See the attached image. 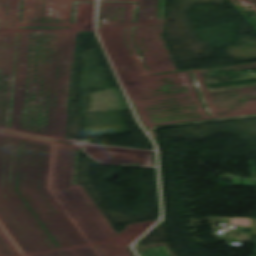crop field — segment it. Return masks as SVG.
Listing matches in <instances>:
<instances>
[{
    "mask_svg": "<svg viewBox=\"0 0 256 256\" xmlns=\"http://www.w3.org/2000/svg\"><path fill=\"white\" fill-rule=\"evenodd\" d=\"M242 183L243 187H256V180L253 179H242V182H232V187H240Z\"/></svg>",
    "mask_w": 256,
    "mask_h": 256,
    "instance_id": "8a807250",
    "label": "crop field"
},
{
    "mask_svg": "<svg viewBox=\"0 0 256 256\" xmlns=\"http://www.w3.org/2000/svg\"><path fill=\"white\" fill-rule=\"evenodd\" d=\"M251 178H256V160H250Z\"/></svg>",
    "mask_w": 256,
    "mask_h": 256,
    "instance_id": "ac0d7876",
    "label": "crop field"
},
{
    "mask_svg": "<svg viewBox=\"0 0 256 256\" xmlns=\"http://www.w3.org/2000/svg\"><path fill=\"white\" fill-rule=\"evenodd\" d=\"M251 235H256V219H253ZM254 255H256V247H255Z\"/></svg>",
    "mask_w": 256,
    "mask_h": 256,
    "instance_id": "34b2d1b8",
    "label": "crop field"
}]
</instances>
